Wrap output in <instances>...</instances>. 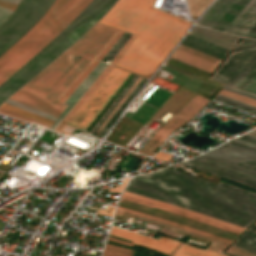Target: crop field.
<instances>
[{
	"instance_id": "crop-field-12",
	"label": "crop field",
	"mask_w": 256,
	"mask_h": 256,
	"mask_svg": "<svg viewBox=\"0 0 256 256\" xmlns=\"http://www.w3.org/2000/svg\"><path fill=\"white\" fill-rule=\"evenodd\" d=\"M118 205L132 209V210H136V211H139L142 213H146V214H149V215H152L155 217H159V218H162L165 220H169V221H172V222H175L178 224H182V225L194 228V229H198V230H201V231H204L207 233H211V234H214V235H217V236H220L223 238H227L230 240H232L233 238L236 237V235H233V234H230V233H227L224 231H220V230H217V229H214V228H211V227H208V226L196 223V222H192V221H189V220H186V219L174 216V215H170V214H167V213H164L161 211H157V210L147 208V207H144L141 205H137V204H134L131 202H127L124 200H120Z\"/></svg>"
},
{
	"instance_id": "crop-field-33",
	"label": "crop field",
	"mask_w": 256,
	"mask_h": 256,
	"mask_svg": "<svg viewBox=\"0 0 256 256\" xmlns=\"http://www.w3.org/2000/svg\"><path fill=\"white\" fill-rule=\"evenodd\" d=\"M219 95H222V96H225V97H228V98H231V99H234V100H237V101H240V102H243V103H246V104L256 107V100L238 95L236 93H233V92H230V91H227L224 89H222L220 91Z\"/></svg>"
},
{
	"instance_id": "crop-field-34",
	"label": "crop field",
	"mask_w": 256,
	"mask_h": 256,
	"mask_svg": "<svg viewBox=\"0 0 256 256\" xmlns=\"http://www.w3.org/2000/svg\"><path fill=\"white\" fill-rule=\"evenodd\" d=\"M1 107H4V108L9 109V110H12V111H15V112L20 113V114H23V115H26V116H28V117L34 118V119H36V120L45 122V123L50 124V125H52V124L54 123V121H51V120H49V119H46V118L37 116V115L32 114V113H29V112H26V111H24V110L18 109V108H16V107L10 106V105L5 104V103H3V104L1 105Z\"/></svg>"
},
{
	"instance_id": "crop-field-23",
	"label": "crop field",
	"mask_w": 256,
	"mask_h": 256,
	"mask_svg": "<svg viewBox=\"0 0 256 256\" xmlns=\"http://www.w3.org/2000/svg\"><path fill=\"white\" fill-rule=\"evenodd\" d=\"M249 1L237 0L212 28L223 31Z\"/></svg>"
},
{
	"instance_id": "crop-field-31",
	"label": "crop field",
	"mask_w": 256,
	"mask_h": 256,
	"mask_svg": "<svg viewBox=\"0 0 256 256\" xmlns=\"http://www.w3.org/2000/svg\"><path fill=\"white\" fill-rule=\"evenodd\" d=\"M214 100H217V101L223 102L225 104H228V105H231V106H234V107H237V108H240V109H243L248 112L256 114V108L248 106L246 104H243V103H240V102H237V101H234V100H231V99L219 96V95H217L214 98Z\"/></svg>"
},
{
	"instance_id": "crop-field-7",
	"label": "crop field",
	"mask_w": 256,
	"mask_h": 256,
	"mask_svg": "<svg viewBox=\"0 0 256 256\" xmlns=\"http://www.w3.org/2000/svg\"><path fill=\"white\" fill-rule=\"evenodd\" d=\"M53 1H21L16 11L0 26V55L40 18Z\"/></svg>"
},
{
	"instance_id": "crop-field-5",
	"label": "crop field",
	"mask_w": 256,
	"mask_h": 256,
	"mask_svg": "<svg viewBox=\"0 0 256 256\" xmlns=\"http://www.w3.org/2000/svg\"><path fill=\"white\" fill-rule=\"evenodd\" d=\"M180 164L256 189V151L231 142Z\"/></svg>"
},
{
	"instance_id": "crop-field-50",
	"label": "crop field",
	"mask_w": 256,
	"mask_h": 256,
	"mask_svg": "<svg viewBox=\"0 0 256 256\" xmlns=\"http://www.w3.org/2000/svg\"><path fill=\"white\" fill-rule=\"evenodd\" d=\"M245 91L256 94V77L251 81V83L246 87Z\"/></svg>"
},
{
	"instance_id": "crop-field-49",
	"label": "crop field",
	"mask_w": 256,
	"mask_h": 256,
	"mask_svg": "<svg viewBox=\"0 0 256 256\" xmlns=\"http://www.w3.org/2000/svg\"><path fill=\"white\" fill-rule=\"evenodd\" d=\"M0 7H3V8H6V9L14 11V9L17 7V5L13 4V3H9V2H5V1H1L0 0Z\"/></svg>"
},
{
	"instance_id": "crop-field-55",
	"label": "crop field",
	"mask_w": 256,
	"mask_h": 256,
	"mask_svg": "<svg viewBox=\"0 0 256 256\" xmlns=\"http://www.w3.org/2000/svg\"><path fill=\"white\" fill-rule=\"evenodd\" d=\"M246 135H249V136H252V137H255L256 138V130L246 134Z\"/></svg>"
},
{
	"instance_id": "crop-field-11",
	"label": "crop field",
	"mask_w": 256,
	"mask_h": 256,
	"mask_svg": "<svg viewBox=\"0 0 256 256\" xmlns=\"http://www.w3.org/2000/svg\"><path fill=\"white\" fill-rule=\"evenodd\" d=\"M116 29L96 23L68 50L94 57L114 34Z\"/></svg>"
},
{
	"instance_id": "crop-field-27",
	"label": "crop field",
	"mask_w": 256,
	"mask_h": 256,
	"mask_svg": "<svg viewBox=\"0 0 256 256\" xmlns=\"http://www.w3.org/2000/svg\"><path fill=\"white\" fill-rule=\"evenodd\" d=\"M176 256H225V255L218 254L212 250L202 251L200 249L185 245Z\"/></svg>"
},
{
	"instance_id": "crop-field-22",
	"label": "crop field",
	"mask_w": 256,
	"mask_h": 256,
	"mask_svg": "<svg viewBox=\"0 0 256 256\" xmlns=\"http://www.w3.org/2000/svg\"><path fill=\"white\" fill-rule=\"evenodd\" d=\"M112 66L107 65L106 69L101 73V75L93 82V84L87 89L83 96L78 100L74 107L69 111V113L63 118V120L56 126L54 131L60 132L61 129L66 125L70 118L75 114L79 107L84 103L92 91L97 87V85L102 81V79L111 70Z\"/></svg>"
},
{
	"instance_id": "crop-field-19",
	"label": "crop field",
	"mask_w": 256,
	"mask_h": 256,
	"mask_svg": "<svg viewBox=\"0 0 256 256\" xmlns=\"http://www.w3.org/2000/svg\"><path fill=\"white\" fill-rule=\"evenodd\" d=\"M182 44L222 59L228 50L187 35Z\"/></svg>"
},
{
	"instance_id": "crop-field-24",
	"label": "crop field",
	"mask_w": 256,
	"mask_h": 256,
	"mask_svg": "<svg viewBox=\"0 0 256 256\" xmlns=\"http://www.w3.org/2000/svg\"><path fill=\"white\" fill-rule=\"evenodd\" d=\"M138 220H142V221L157 224V225H160V226L168 227V228H171V229H174V230H177V231H180V232H183V233H186V234H189V235H192V236L210 241L212 243L210 244L209 248H212V249L217 250L219 252H221L228 245V243H225V242H222V241H218V240H215V239L203 236V235H199V234H196V233L184 230V229H180V228H177V227H174V226H171V225H167V224L160 223V222H157V221H153V220H150V219H146V218H143V217H138Z\"/></svg>"
},
{
	"instance_id": "crop-field-3",
	"label": "crop field",
	"mask_w": 256,
	"mask_h": 256,
	"mask_svg": "<svg viewBox=\"0 0 256 256\" xmlns=\"http://www.w3.org/2000/svg\"><path fill=\"white\" fill-rule=\"evenodd\" d=\"M115 1L91 0L59 35L0 85V105L79 39Z\"/></svg>"
},
{
	"instance_id": "crop-field-14",
	"label": "crop field",
	"mask_w": 256,
	"mask_h": 256,
	"mask_svg": "<svg viewBox=\"0 0 256 256\" xmlns=\"http://www.w3.org/2000/svg\"><path fill=\"white\" fill-rule=\"evenodd\" d=\"M189 35L205 40L212 44L218 45L220 47L226 48L228 50H230L231 47L239 39L238 37L223 34L198 26H194L193 29L190 31Z\"/></svg>"
},
{
	"instance_id": "crop-field-29",
	"label": "crop field",
	"mask_w": 256,
	"mask_h": 256,
	"mask_svg": "<svg viewBox=\"0 0 256 256\" xmlns=\"http://www.w3.org/2000/svg\"><path fill=\"white\" fill-rule=\"evenodd\" d=\"M124 194L131 195V196H134V197H137V198H141V199H144V200H147V201H150V202H154V203H157V204H160V205H163V206H167V207H170V208H173V209H177V210H180V211H183V212H186V213H190V214H193V215H196V216H199V217H202V218H206V219L218 222V223H222V224L234 227V228H238V229H241V230L244 229V228H241V227H238V226H235V225H232V224H228V223H225V222H222V221H219V220H216V219H213V218L201 215V214H197V213H194V212L182 209V208H178V207H175V206H171V205H168V204H164V203H161V202H157V201H154V200H151V199H147V198L140 197V196H137V195L126 193V192H124Z\"/></svg>"
},
{
	"instance_id": "crop-field-54",
	"label": "crop field",
	"mask_w": 256,
	"mask_h": 256,
	"mask_svg": "<svg viewBox=\"0 0 256 256\" xmlns=\"http://www.w3.org/2000/svg\"><path fill=\"white\" fill-rule=\"evenodd\" d=\"M108 240H112V241H116V242H120V243H123V244H127V245H131L132 246V244H129V243H125V242H122V241H119V240H116V239H112V238H107Z\"/></svg>"
},
{
	"instance_id": "crop-field-18",
	"label": "crop field",
	"mask_w": 256,
	"mask_h": 256,
	"mask_svg": "<svg viewBox=\"0 0 256 256\" xmlns=\"http://www.w3.org/2000/svg\"><path fill=\"white\" fill-rule=\"evenodd\" d=\"M236 0H217L205 13L198 25L211 28Z\"/></svg>"
},
{
	"instance_id": "crop-field-46",
	"label": "crop field",
	"mask_w": 256,
	"mask_h": 256,
	"mask_svg": "<svg viewBox=\"0 0 256 256\" xmlns=\"http://www.w3.org/2000/svg\"><path fill=\"white\" fill-rule=\"evenodd\" d=\"M256 75V67L252 70V72L248 75V77L244 80V82L240 85V89H245V87L250 83V81L255 77Z\"/></svg>"
},
{
	"instance_id": "crop-field-21",
	"label": "crop field",
	"mask_w": 256,
	"mask_h": 256,
	"mask_svg": "<svg viewBox=\"0 0 256 256\" xmlns=\"http://www.w3.org/2000/svg\"><path fill=\"white\" fill-rule=\"evenodd\" d=\"M256 22V1L232 26L228 33L243 36L247 30Z\"/></svg>"
},
{
	"instance_id": "crop-field-59",
	"label": "crop field",
	"mask_w": 256,
	"mask_h": 256,
	"mask_svg": "<svg viewBox=\"0 0 256 256\" xmlns=\"http://www.w3.org/2000/svg\"><path fill=\"white\" fill-rule=\"evenodd\" d=\"M115 165H116V163L114 162L112 167H111L112 170L114 169Z\"/></svg>"
},
{
	"instance_id": "crop-field-35",
	"label": "crop field",
	"mask_w": 256,
	"mask_h": 256,
	"mask_svg": "<svg viewBox=\"0 0 256 256\" xmlns=\"http://www.w3.org/2000/svg\"><path fill=\"white\" fill-rule=\"evenodd\" d=\"M178 49L186 51V52L191 53V54H194V55L199 56L201 58L207 59L209 61L215 62L217 64H219V62H220V59H218V58H215L213 56L207 55V54L202 53L200 51H197L195 49L189 48V47L184 46L182 44L179 45Z\"/></svg>"
},
{
	"instance_id": "crop-field-4",
	"label": "crop field",
	"mask_w": 256,
	"mask_h": 256,
	"mask_svg": "<svg viewBox=\"0 0 256 256\" xmlns=\"http://www.w3.org/2000/svg\"><path fill=\"white\" fill-rule=\"evenodd\" d=\"M89 1L56 0L43 18L0 56V84L60 33Z\"/></svg>"
},
{
	"instance_id": "crop-field-6",
	"label": "crop field",
	"mask_w": 256,
	"mask_h": 256,
	"mask_svg": "<svg viewBox=\"0 0 256 256\" xmlns=\"http://www.w3.org/2000/svg\"><path fill=\"white\" fill-rule=\"evenodd\" d=\"M90 60L89 57L66 51L21 90L65 110L67 106L54 101V99Z\"/></svg>"
},
{
	"instance_id": "crop-field-1",
	"label": "crop field",
	"mask_w": 256,
	"mask_h": 256,
	"mask_svg": "<svg viewBox=\"0 0 256 256\" xmlns=\"http://www.w3.org/2000/svg\"><path fill=\"white\" fill-rule=\"evenodd\" d=\"M154 175V176H153ZM134 177L126 192L246 228L256 218V193L170 169Z\"/></svg>"
},
{
	"instance_id": "crop-field-32",
	"label": "crop field",
	"mask_w": 256,
	"mask_h": 256,
	"mask_svg": "<svg viewBox=\"0 0 256 256\" xmlns=\"http://www.w3.org/2000/svg\"><path fill=\"white\" fill-rule=\"evenodd\" d=\"M137 76L134 75L132 80L129 82V84L126 86V88L123 90V92L120 94V96L116 99V101L111 105V107L105 112V114L100 118V120L96 123V125L92 128L90 133H94V131L98 128V126L103 122V120L107 117V115L111 112V110L116 106V104L120 101V99L124 96V94L127 92V90L130 88V86L133 84V82L136 80Z\"/></svg>"
},
{
	"instance_id": "crop-field-41",
	"label": "crop field",
	"mask_w": 256,
	"mask_h": 256,
	"mask_svg": "<svg viewBox=\"0 0 256 256\" xmlns=\"http://www.w3.org/2000/svg\"><path fill=\"white\" fill-rule=\"evenodd\" d=\"M136 36H131L128 41L125 43V45L121 48V50L118 52V54L113 58V60L110 62V64L114 65L115 62L120 58V56L125 52V50L130 46V44L135 40ZM132 39V40H131Z\"/></svg>"
},
{
	"instance_id": "crop-field-44",
	"label": "crop field",
	"mask_w": 256,
	"mask_h": 256,
	"mask_svg": "<svg viewBox=\"0 0 256 256\" xmlns=\"http://www.w3.org/2000/svg\"><path fill=\"white\" fill-rule=\"evenodd\" d=\"M224 89L239 93L241 95L256 99V95L225 85Z\"/></svg>"
},
{
	"instance_id": "crop-field-39",
	"label": "crop field",
	"mask_w": 256,
	"mask_h": 256,
	"mask_svg": "<svg viewBox=\"0 0 256 256\" xmlns=\"http://www.w3.org/2000/svg\"><path fill=\"white\" fill-rule=\"evenodd\" d=\"M140 77L137 78V80L134 82V84L131 86V88L128 90V92L125 94V96L121 99V101L117 104V106L114 108V110L110 113V115L106 118V120L103 122V124L99 127V131L102 130V128L106 125V123L109 121V119L112 117V115L116 112V110L119 108V106L123 103V101L126 99V97L130 94V92L133 90V88L137 85V83L140 81Z\"/></svg>"
},
{
	"instance_id": "crop-field-42",
	"label": "crop field",
	"mask_w": 256,
	"mask_h": 256,
	"mask_svg": "<svg viewBox=\"0 0 256 256\" xmlns=\"http://www.w3.org/2000/svg\"><path fill=\"white\" fill-rule=\"evenodd\" d=\"M226 253L234 255V256H256L254 254H251L249 252L243 251L241 249L235 248L233 246H231Z\"/></svg>"
},
{
	"instance_id": "crop-field-17",
	"label": "crop field",
	"mask_w": 256,
	"mask_h": 256,
	"mask_svg": "<svg viewBox=\"0 0 256 256\" xmlns=\"http://www.w3.org/2000/svg\"><path fill=\"white\" fill-rule=\"evenodd\" d=\"M121 199H125V200H128V201H132V202H135V203L146 205V206H149V207H152V208H156V209H159V210H163V211H166V212L177 214V215H180V216H183V217H186V218H190V219H193V220L205 223V224H209V225H212V226H215V227L227 230V231H231V232H234V233H237V234H239L241 232V230H238V229H234V228L222 225V224H218V223L206 220V219H202V218L190 215V214H186V213H183V212H180V211H177V210H173V209H170V208H167V207H163V206H160V205H157V204H154V203H150V202H147V201H144V200H141V199H137V198H134V197H131V196H127V195H124V194H122Z\"/></svg>"
},
{
	"instance_id": "crop-field-43",
	"label": "crop field",
	"mask_w": 256,
	"mask_h": 256,
	"mask_svg": "<svg viewBox=\"0 0 256 256\" xmlns=\"http://www.w3.org/2000/svg\"><path fill=\"white\" fill-rule=\"evenodd\" d=\"M123 33V31H119L118 34L113 38V40L107 45V47L102 51V53L98 56V60H100L109 50L110 48L115 44V42L118 40L120 35Z\"/></svg>"
},
{
	"instance_id": "crop-field-9",
	"label": "crop field",
	"mask_w": 256,
	"mask_h": 256,
	"mask_svg": "<svg viewBox=\"0 0 256 256\" xmlns=\"http://www.w3.org/2000/svg\"><path fill=\"white\" fill-rule=\"evenodd\" d=\"M209 100L195 95L183 108L173 115L155 134L153 139L141 152L144 155L152 156L160 147L161 143L176 129L190 120Z\"/></svg>"
},
{
	"instance_id": "crop-field-58",
	"label": "crop field",
	"mask_w": 256,
	"mask_h": 256,
	"mask_svg": "<svg viewBox=\"0 0 256 256\" xmlns=\"http://www.w3.org/2000/svg\"><path fill=\"white\" fill-rule=\"evenodd\" d=\"M103 256H117V255H113V254H109V253L104 252Z\"/></svg>"
},
{
	"instance_id": "crop-field-52",
	"label": "crop field",
	"mask_w": 256,
	"mask_h": 256,
	"mask_svg": "<svg viewBox=\"0 0 256 256\" xmlns=\"http://www.w3.org/2000/svg\"><path fill=\"white\" fill-rule=\"evenodd\" d=\"M131 36V34H128V36L123 40V42L118 46V48L115 50V52L109 57V59L106 61L109 63L111 59L117 54V52L120 50V48L124 45V43L127 41V39Z\"/></svg>"
},
{
	"instance_id": "crop-field-10",
	"label": "crop field",
	"mask_w": 256,
	"mask_h": 256,
	"mask_svg": "<svg viewBox=\"0 0 256 256\" xmlns=\"http://www.w3.org/2000/svg\"><path fill=\"white\" fill-rule=\"evenodd\" d=\"M255 53L256 40L243 38L213 77H211L229 85Z\"/></svg>"
},
{
	"instance_id": "crop-field-45",
	"label": "crop field",
	"mask_w": 256,
	"mask_h": 256,
	"mask_svg": "<svg viewBox=\"0 0 256 256\" xmlns=\"http://www.w3.org/2000/svg\"><path fill=\"white\" fill-rule=\"evenodd\" d=\"M127 36V33H123V35L120 37V39L117 41V43L112 47V49L101 59V61H106L108 57L113 53V51L116 49V47L122 42V40Z\"/></svg>"
},
{
	"instance_id": "crop-field-36",
	"label": "crop field",
	"mask_w": 256,
	"mask_h": 256,
	"mask_svg": "<svg viewBox=\"0 0 256 256\" xmlns=\"http://www.w3.org/2000/svg\"><path fill=\"white\" fill-rule=\"evenodd\" d=\"M237 241L256 248V233L247 230Z\"/></svg>"
},
{
	"instance_id": "crop-field-26",
	"label": "crop field",
	"mask_w": 256,
	"mask_h": 256,
	"mask_svg": "<svg viewBox=\"0 0 256 256\" xmlns=\"http://www.w3.org/2000/svg\"><path fill=\"white\" fill-rule=\"evenodd\" d=\"M117 209L125 211V212H129V213H132V214L144 216V217H147V218H150V219H154V220H157V221H161V222H164V223H167V224H171V225H174V226H177V227H180V228H184V229H187V230L199 233V234H203V235H206V236H209V237H212V238H215V239L222 240V241L230 243V240L223 239V238L211 235V234H207V233H204V232H201V231H198V230H194V229H191V228H188V227H185V226H182V225H178V224H175V223H172V222H169V221H165V220H162V219H159V218H155V217H152V216H149V215H145V214H142V213H139V212H136V211H132V210H129V209H126V208H122V207H119V206H118Z\"/></svg>"
},
{
	"instance_id": "crop-field-16",
	"label": "crop field",
	"mask_w": 256,
	"mask_h": 256,
	"mask_svg": "<svg viewBox=\"0 0 256 256\" xmlns=\"http://www.w3.org/2000/svg\"><path fill=\"white\" fill-rule=\"evenodd\" d=\"M10 99L15 100L17 102H20L22 104H25L27 106H30L32 108H35L37 110H40L42 112H45L47 114H50L55 117H59L63 110L52 106L44 101H41L23 91L16 92Z\"/></svg>"
},
{
	"instance_id": "crop-field-13",
	"label": "crop field",
	"mask_w": 256,
	"mask_h": 256,
	"mask_svg": "<svg viewBox=\"0 0 256 256\" xmlns=\"http://www.w3.org/2000/svg\"><path fill=\"white\" fill-rule=\"evenodd\" d=\"M109 234L134 240V244L145 246L166 255H168L171 250L178 244V242L169 238L161 237V239L157 241L140 234L129 232L116 227H112Z\"/></svg>"
},
{
	"instance_id": "crop-field-53",
	"label": "crop field",
	"mask_w": 256,
	"mask_h": 256,
	"mask_svg": "<svg viewBox=\"0 0 256 256\" xmlns=\"http://www.w3.org/2000/svg\"><path fill=\"white\" fill-rule=\"evenodd\" d=\"M232 142H235V143H238V144L245 145V146L256 149V145L251 144V143H247V142H244V141H241V140H238V139H235Z\"/></svg>"
},
{
	"instance_id": "crop-field-37",
	"label": "crop field",
	"mask_w": 256,
	"mask_h": 256,
	"mask_svg": "<svg viewBox=\"0 0 256 256\" xmlns=\"http://www.w3.org/2000/svg\"><path fill=\"white\" fill-rule=\"evenodd\" d=\"M0 113H3V114H6V115H9V116H13V117H16V118H19V119H22V120H25V121H28V122H33V123H36V124H39V125H42V126H45V127L50 128V125H47V124H45V123L36 121V120H34V119L25 117V116H23V115L17 114V113H15V112L6 110V109L1 108V107H0Z\"/></svg>"
},
{
	"instance_id": "crop-field-38",
	"label": "crop field",
	"mask_w": 256,
	"mask_h": 256,
	"mask_svg": "<svg viewBox=\"0 0 256 256\" xmlns=\"http://www.w3.org/2000/svg\"><path fill=\"white\" fill-rule=\"evenodd\" d=\"M5 103H8V104H10V105L19 107V108L24 109V110H27V111H30V112H32V113L38 114V115H40V116L49 118V119L54 120V121L57 119V118H55V117H52V116H50V115H47V114H45V113H42V112H40V111H37V110H35V109H32V108L27 107V106H25V105L19 104V103H17V102H14V101H12V100H9V99L6 100Z\"/></svg>"
},
{
	"instance_id": "crop-field-2",
	"label": "crop field",
	"mask_w": 256,
	"mask_h": 256,
	"mask_svg": "<svg viewBox=\"0 0 256 256\" xmlns=\"http://www.w3.org/2000/svg\"><path fill=\"white\" fill-rule=\"evenodd\" d=\"M154 0H118L99 22L140 35L117 66L147 78L191 23L152 8Z\"/></svg>"
},
{
	"instance_id": "crop-field-48",
	"label": "crop field",
	"mask_w": 256,
	"mask_h": 256,
	"mask_svg": "<svg viewBox=\"0 0 256 256\" xmlns=\"http://www.w3.org/2000/svg\"><path fill=\"white\" fill-rule=\"evenodd\" d=\"M12 11L0 8V25L11 15Z\"/></svg>"
},
{
	"instance_id": "crop-field-47",
	"label": "crop field",
	"mask_w": 256,
	"mask_h": 256,
	"mask_svg": "<svg viewBox=\"0 0 256 256\" xmlns=\"http://www.w3.org/2000/svg\"><path fill=\"white\" fill-rule=\"evenodd\" d=\"M255 0H251L247 6L237 15V17L228 25V27L224 30L227 32L231 26L240 18V16L250 7V5L254 2Z\"/></svg>"
},
{
	"instance_id": "crop-field-51",
	"label": "crop field",
	"mask_w": 256,
	"mask_h": 256,
	"mask_svg": "<svg viewBox=\"0 0 256 256\" xmlns=\"http://www.w3.org/2000/svg\"><path fill=\"white\" fill-rule=\"evenodd\" d=\"M244 36L256 38V23L248 30Z\"/></svg>"
},
{
	"instance_id": "crop-field-56",
	"label": "crop field",
	"mask_w": 256,
	"mask_h": 256,
	"mask_svg": "<svg viewBox=\"0 0 256 256\" xmlns=\"http://www.w3.org/2000/svg\"><path fill=\"white\" fill-rule=\"evenodd\" d=\"M249 230L256 232V224L249 228Z\"/></svg>"
},
{
	"instance_id": "crop-field-8",
	"label": "crop field",
	"mask_w": 256,
	"mask_h": 256,
	"mask_svg": "<svg viewBox=\"0 0 256 256\" xmlns=\"http://www.w3.org/2000/svg\"><path fill=\"white\" fill-rule=\"evenodd\" d=\"M129 74L130 72L113 67L68 124L86 130L95 116L129 76Z\"/></svg>"
},
{
	"instance_id": "crop-field-28",
	"label": "crop field",
	"mask_w": 256,
	"mask_h": 256,
	"mask_svg": "<svg viewBox=\"0 0 256 256\" xmlns=\"http://www.w3.org/2000/svg\"><path fill=\"white\" fill-rule=\"evenodd\" d=\"M256 65V54L253 58L248 62V64L242 69V71L237 75V77L232 81L230 86L238 88L239 85L243 82V80L247 77V75L251 72V70Z\"/></svg>"
},
{
	"instance_id": "crop-field-30",
	"label": "crop field",
	"mask_w": 256,
	"mask_h": 256,
	"mask_svg": "<svg viewBox=\"0 0 256 256\" xmlns=\"http://www.w3.org/2000/svg\"><path fill=\"white\" fill-rule=\"evenodd\" d=\"M98 61L94 60L93 63L83 72V74L71 85V87L62 95L59 101L64 102L66 98L75 90V88L83 81V79L91 72L97 65Z\"/></svg>"
},
{
	"instance_id": "crop-field-20",
	"label": "crop field",
	"mask_w": 256,
	"mask_h": 256,
	"mask_svg": "<svg viewBox=\"0 0 256 256\" xmlns=\"http://www.w3.org/2000/svg\"><path fill=\"white\" fill-rule=\"evenodd\" d=\"M171 58L176 59L178 61L184 62L196 68L202 69L209 73L217 66V64L209 62L207 60L201 59L194 55L188 54L186 52L180 51L178 49L172 54Z\"/></svg>"
},
{
	"instance_id": "crop-field-25",
	"label": "crop field",
	"mask_w": 256,
	"mask_h": 256,
	"mask_svg": "<svg viewBox=\"0 0 256 256\" xmlns=\"http://www.w3.org/2000/svg\"><path fill=\"white\" fill-rule=\"evenodd\" d=\"M146 80L141 79V81L138 83V85L134 88V90L131 92V94L127 97V99L124 101V103L120 106V108L117 110V112L114 114V116L110 119V121L107 123V125L103 128V130L99 133L98 137H102L105 132L112 126L114 121L117 119L119 114L122 112L124 107L128 104V102L135 96V94L141 89V87L145 84Z\"/></svg>"
},
{
	"instance_id": "crop-field-15",
	"label": "crop field",
	"mask_w": 256,
	"mask_h": 256,
	"mask_svg": "<svg viewBox=\"0 0 256 256\" xmlns=\"http://www.w3.org/2000/svg\"><path fill=\"white\" fill-rule=\"evenodd\" d=\"M107 64L98 63V65L92 70V72L84 79V81L77 87V89L72 93V95L64 103L69 107L64 111L59 119L51 126L50 129H54L55 126L61 121V119L68 113V111L73 107L77 100L82 96L86 89L91 85V83L96 79V77L101 73Z\"/></svg>"
},
{
	"instance_id": "crop-field-57",
	"label": "crop field",
	"mask_w": 256,
	"mask_h": 256,
	"mask_svg": "<svg viewBox=\"0 0 256 256\" xmlns=\"http://www.w3.org/2000/svg\"><path fill=\"white\" fill-rule=\"evenodd\" d=\"M5 1H9V2H13V3H17L18 4L20 0H5Z\"/></svg>"
},
{
	"instance_id": "crop-field-40",
	"label": "crop field",
	"mask_w": 256,
	"mask_h": 256,
	"mask_svg": "<svg viewBox=\"0 0 256 256\" xmlns=\"http://www.w3.org/2000/svg\"><path fill=\"white\" fill-rule=\"evenodd\" d=\"M104 251L114 253V254H118V255H122V256H131V251L130 250L118 248V247L107 245V244L105 246Z\"/></svg>"
}]
</instances>
